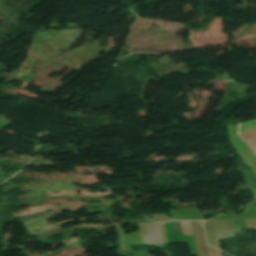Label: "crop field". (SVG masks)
Here are the masks:
<instances>
[{
	"mask_svg": "<svg viewBox=\"0 0 256 256\" xmlns=\"http://www.w3.org/2000/svg\"><path fill=\"white\" fill-rule=\"evenodd\" d=\"M249 147H250V149L254 152V154L256 155V146H253V145H249V144H247Z\"/></svg>",
	"mask_w": 256,
	"mask_h": 256,
	"instance_id": "obj_5",
	"label": "crop field"
},
{
	"mask_svg": "<svg viewBox=\"0 0 256 256\" xmlns=\"http://www.w3.org/2000/svg\"><path fill=\"white\" fill-rule=\"evenodd\" d=\"M208 249H209L210 256H216V253H215L214 249L209 248V247H208Z\"/></svg>",
	"mask_w": 256,
	"mask_h": 256,
	"instance_id": "obj_4",
	"label": "crop field"
},
{
	"mask_svg": "<svg viewBox=\"0 0 256 256\" xmlns=\"http://www.w3.org/2000/svg\"><path fill=\"white\" fill-rule=\"evenodd\" d=\"M253 129H256V120L240 124L238 128V134H241L243 132L250 131Z\"/></svg>",
	"mask_w": 256,
	"mask_h": 256,
	"instance_id": "obj_1",
	"label": "crop field"
},
{
	"mask_svg": "<svg viewBox=\"0 0 256 256\" xmlns=\"http://www.w3.org/2000/svg\"><path fill=\"white\" fill-rule=\"evenodd\" d=\"M253 136H256V130L250 131V132H246V133L240 135V137H241L243 140H245V139H247V138H250V137H253Z\"/></svg>",
	"mask_w": 256,
	"mask_h": 256,
	"instance_id": "obj_2",
	"label": "crop field"
},
{
	"mask_svg": "<svg viewBox=\"0 0 256 256\" xmlns=\"http://www.w3.org/2000/svg\"><path fill=\"white\" fill-rule=\"evenodd\" d=\"M216 253H217V256H222V253L220 251L216 250Z\"/></svg>",
	"mask_w": 256,
	"mask_h": 256,
	"instance_id": "obj_6",
	"label": "crop field"
},
{
	"mask_svg": "<svg viewBox=\"0 0 256 256\" xmlns=\"http://www.w3.org/2000/svg\"><path fill=\"white\" fill-rule=\"evenodd\" d=\"M245 141L250 142V143H252V144L256 145V137H254V138H250V139L245 140Z\"/></svg>",
	"mask_w": 256,
	"mask_h": 256,
	"instance_id": "obj_3",
	"label": "crop field"
}]
</instances>
